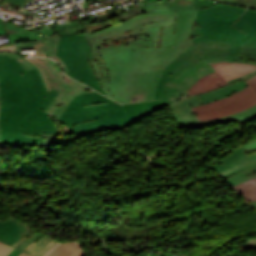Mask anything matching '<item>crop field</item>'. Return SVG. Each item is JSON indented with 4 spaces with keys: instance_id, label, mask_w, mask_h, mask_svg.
Here are the masks:
<instances>
[{
    "instance_id": "14",
    "label": "crop field",
    "mask_w": 256,
    "mask_h": 256,
    "mask_svg": "<svg viewBox=\"0 0 256 256\" xmlns=\"http://www.w3.org/2000/svg\"><path fill=\"white\" fill-rule=\"evenodd\" d=\"M248 87L247 83L242 80H238L232 84L220 87L218 89L199 94L198 96L203 100L202 103L191 105V107L203 105L205 103H210L225 97H228L244 88Z\"/></svg>"
},
{
    "instance_id": "5",
    "label": "crop field",
    "mask_w": 256,
    "mask_h": 256,
    "mask_svg": "<svg viewBox=\"0 0 256 256\" xmlns=\"http://www.w3.org/2000/svg\"><path fill=\"white\" fill-rule=\"evenodd\" d=\"M239 55L240 47L231 43L207 41L193 45L163 70L155 99L172 104L191 96L186 91L199 78L215 71L204 59Z\"/></svg>"
},
{
    "instance_id": "19",
    "label": "crop field",
    "mask_w": 256,
    "mask_h": 256,
    "mask_svg": "<svg viewBox=\"0 0 256 256\" xmlns=\"http://www.w3.org/2000/svg\"><path fill=\"white\" fill-rule=\"evenodd\" d=\"M56 242V240H53L47 236L28 253L35 256H43Z\"/></svg>"
},
{
    "instance_id": "9",
    "label": "crop field",
    "mask_w": 256,
    "mask_h": 256,
    "mask_svg": "<svg viewBox=\"0 0 256 256\" xmlns=\"http://www.w3.org/2000/svg\"><path fill=\"white\" fill-rule=\"evenodd\" d=\"M256 148V140H253L211 167L232 185H237L256 176V154L247 156L245 151Z\"/></svg>"
},
{
    "instance_id": "16",
    "label": "crop field",
    "mask_w": 256,
    "mask_h": 256,
    "mask_svg": "<svg viewBox=\"0 0 256 256\" xmlns=\"http://www.w3.org/2000/svg\"><path fill=\"white\" fill-rule=\"evenodd\" d=\"M225 84L227 83L218 75V73L214 72L198 80V82L187 92L194 95L197 93L211 90L216 87H220Z\"/></svg>"
},
{
    "instance_id": "20",
    "label": "crop field",
    "mask_w": 256,
    "mask_h": 256,
    "mask_svg": "<svg viewBox=\"0 0 256 256\" xmlns=\"http://www.w3.org/2000/svg\"><path fill=\"white\" fill-rule=\"evenodd\" d=\"M79 247L80 245L76 243H64L59 245L49 256H72Z\"/></svg>"
},
{
    "instance_id": "6",
    "label": "crop field",
    "mask_w": 256,
    "mask_h": 256,
    "mask_svg": "<svg viewBox=\"0 0 256 256\" xmlns=\"http://www.w3.org/2000/svg\"><path fill=\"white\" fill-rule=\"evenodd\" d=\"M245 10L243 7L221 3H216V7L199 9L192 40L195 44L207 40H220L241 46L250 37L230 26Z\"/></svg>"
},
{
    "instance_id": "7",
    "label": "crop field",
    "mask_w": 256,
    "mask_h": 256,
    "mask_svg": "<svg viewBox=\"0 0 256 256\" xmlns=\"http://www.w3.org/2000/svg\"><path fill=\"white\" fill-rule=\"evenodd\" d=\"M57 55L69 67L67 75L106 95L87 62L95 58L83 33L62 37Z\"/></svg>"
},
{
    "instance_id": "25",
    "label": "crop field",
    "mask_w": 256,
    "mask_h": 256,
    "mask_svg": "<svg viewBox=\"0 0 256 256\" xmlns=\"http://www.w3.org/2000/svg\"><path fill=\"white\" fill-rule=\"evenodd\" d=\"M246 82L252 87V89L255 92L256 91V76Z\"/></svg>"
},
{
    "instance_id": "4",
    "label": "crop field",
    "mask_w": 256,
    "mask_h": 256,
    "mask_svg": "<svg viewBox=\"0 0 256 256\" xmlns=\"http://www.w3.org/2000/svg\"><path fill=\"white\" fill-rule=\"evenodd\" d=\"M165 105L162 100L120 105L97 92L85 93L74 97L59 121L66 124L65 134H76L71 143L98 131L121 130Z\"/></svg>"
},
{
    "instance_id": "8",
    "label": "crop field",
    "mask_w": 256,
    "mask_h": 256,
    "mask_svg": "<svg viewBox=\"0 0 256 256\" xmlns=\"http://www.w3.org/2000/svg\"><path fill=\"white\" fill-rule=\"evenodd\" d=\"M32 59L43 67L51 83V87L57 89L59 92L58 96L46 110V112L50 114V118L56 117L59 119L76 94L94 91L69 77H66L61 68L52 60L47 58Z\"/></svg>"
},
{
    "instance_id": "10",
    "label": "crop field",
    "mask_w": 256,
    "mask_h": 256,
    "mask_svg": "<svg viewBox=\"0 0 256 256\" xmlns=\"http://www.w3.org/2000/svg\"><path fill=\"white\" fill-rule=\"evenodd\" d=\"M199 102H202V100L199 99L197 95H194L178 103L168 106L176 126H196V125L208 126L212 124L225 123L229 121H237L242 123L244 121H247L256 117V110H255L256 105H255L249 109L243 110L236 114L199 122L196 115L193 113L191 107L189 106L191 104H195Z\"/></svg>"
},
{
    "instance_id": "24",
    "label": "crop field",
    "mask_w": 256,
    "mask_h": 256,
    "mask_svg": "<svg viewBox=\"0 0 256 256\" xmlns=\"http://www.w3.org/2000/svg\"><path fill=\"white\" fill-rule=\"evenodd\" d=\"M238 4L249 5L256 8V0H240Z\"/></svg>"
},
{
    "instance_id": "26",
    "label": "crop field",
    "mask_w": 256,
    "mask_h": 256,
    "mask_svg": "<svg viewBox=\"0 0 256 256\" xmlns=\"http://www.w3.org/2000/svg\"><path fill=\"white\" fill-rule=\"evenodd\" d=\"M243 246L256 245V238H251L242 244Z\"/></svg>"
},
{
    "instance_id": "34",
    "label": "crop field",
    "mask_w": 256,
    "mask_h": 256,
    "mask_svg": "<svg viewBox=\"0 0 256 256\" xmlns=\"http://www.w3.org/2000/svg\"><path fill=\"white\" fill-rule=\"evenodd\" d=\"M252 72H253V71H252ZM252 72H250V73H252ZM250 73H249V74H250ZM249 74H247V75H249ZM247 75H242V76H240V77H238V78H236V79H234V80H237V79L242 78V77L247 76ZM234 80H232V81H234ZM228 82H230V81H228ZM228 82H227V83H228Z\"/></svg>"
},
{
    "instance_id": "1",
    "label": "crop field",
    "mask_w": 256,
    "mask_h": 256,
    "mask_svg": "<svg viewBox=\"0 0 256 256\" xmlns=\"http://www.w3.org/2000/svg\"><path fill=\"white\" fill-rule=\"evenodd\" d=\"M139 14L120 24L98 32L84 33L89 40L96 60L89 61L108 97L116 100L111 91L110 75L99 54L125 45L141 47L173 46L165 67L194 43L191 40L197 10L194 0H169L140 6ZM164 67V68H165Z\"/></svg>"
},
{
    "instance_id": "21",
    "label": "crop field",
    "mask_w": 256,
    "mask_h": 256,
    "mask_svg": "<svg viewBox=\"0 0 256 256\" xmlns=\"http://www.w3.org/2000/svg\"><path fill=\"white\" fill-rule=\"evenodd\" d=\"M241 54L256 56V34L243 43Z\"/></svg>"
},
{
    "instance_id": "30",
    "label": "crop field",
    "mask_w": 256,
    "mask_h": 256,
    "mask_svg": "<svg viewBox=\"0 0 256 256\" xmlns=\"http://www.w3.org/2000/svg\"><path fill=\"white\" fill-rule=\"evenodd\" d=\"M216 1H219V2H229V3H232V4H237L239 0H216Z\"/></svg>"
},
{
    "instance_id": "28",
    "label": "crop field",
    "mask_w": 256,
    "mask_h": 256,
    "mask_svg": "<svg viewBox=\"0 0 256 256\" xmlns=\"http://www.w3.org/2000/svg\"><path fill=\"white\" fill-rule=\"evenodd\" d=\"M8 1H10V2H12V3H14V4H17V5H19V6H22L23 3H24L26 0H8Z\"/></svg>"
},
{
    "instance_id": "2",
    "label": "crop field",
    "mask_w": 256,
    "mask_h": 256,
    "mask_svg": "<svg viewBox=\"0 0 256 256\" xmlns=\"http://www.w3.org/2000/svg\"><path fill=\"white\" fill-rule=\"evenodd\" d=\"M48 93L34 65L12 52H0V135L1 143L38 145L45 150L59 142L56 127L44 111L57 95ZM21 133L45 136L22 137Z\"/></svg>"
},
{
    "instance_id": "29",
    "label": "crop field",
    "mask_w": 256,
    "mask_h": 256,
    "mask_svg": "<svg viewBox=\"0 0 256 256\" xmlns=\"http://www.w3.org/2000/svg\"><path fill=\"white\" fill-rule=\"evenodd\" d=\"M20 253L21 251L14 249L8 256H18Z\"/></svg>"
},
{
    "instance_id": "18",
    "label": "crop field",
    "mask_w": 256,
    "mask_h": 256,
    "mask_svg": "<svg viewBox=\"0 0 256 256\" xmlns=\"http://www.w3.org/2000/svg\"><path fill=\"white\" fill-rule=\"evenodd\" d=\"M236 188L248 201H256V177L236 186Z\"/></svg>"
},
{
    "instance_id": "23",
    "label": "crop field",
    "mask_w": 256,
    "mask_h": 256,
    "mask_svg": "<svg viewBox=\"0 0 256 256\" xmlns=\"http://www.w3.org/2000/svg\"><path fill=\"white\" fill-rule=\"evenodd\" d=\"M13 248L0 243V256H6Z\"/></svg>"
},
{
    "instance_id": "15",
    "label": "crop field",
    "mask_w": 256,
    "mask_h": 256,
    "mask_svg": "<svg viewBox=\"0 0 256 256\" xmlns=\"http://www.w3.org/2000/svg\"><path fill=\"white\" fill-rule=\"evenodd\" d=\"M213 66L225 81L234 79L256 69V65L241 63H217L213 64Z\"/></svg>"
},
{
    "instance_id": "32",
    "label": "crop field",
    "mask_w": 256,
    "mask_h": 256,
    "mask_svg": "<svg viewBox=\"0 0 256 256\" xmlns=\"http://www.w3.org/2000/svg\"><path fill=\"white\" fill-rule=\"evenodd\" d=\"M255 75H256V72L253 73V74H251V75H249V76H247V77H245L244 79H245V80H248V79L252 78V77L255 76Z\"/></svg>"
},
{
    "instance_id": "31",
    "label": "crop field",
    "mask_w": 256,
    "mask_h": 256,
    "mask_svg": "<svg viewBox=\"0 0 256 256\" xmlns=\"http://www.w3.org/2000/svg\"><path fill=\"white\" fill-rule=\"evenodd\" d=\"M60 242H57L44 256H47Z\"/></svg>"
},
{
    "instance_id": "22",
    "label": "crop field",
    "mask_w": 256,
    "mask_h": 256,
    "mask_svg": "<svg viewBox=\"0 0 256 256\" xmlns=\"http://www.w3.org/2000/svg\"><path fill=\"white\" fill-rule=\"evenodd\" d=\"M215 6L213 0H195V9Z\"/></svg>"
},
{
    "instance_id": "17",
    "label": "crop field",
    "mask_w": 256,
    "mask_h": 256,
    "mask_svg": "<svg viewBox=\"0 0 256 256\" xmlns=\"http://www.w3.org/2000/svg\"><path fill=\"white\" fill-rule=\"evenodd\" d=\"M233 27L242 30V32L249 36L256 33V10L247 9L240 19L235 22Z\"/></svg>"
},
{
    "instance_id": "13",
    "label": "crop field",
    "mask_w": 256,
    "mask_h": 256,
    "mask_svg": "<svg viewBox=\"0 0 256 256\" xmlns=\"http://www.w3.org/2000/svg\"><path fill=\"white\" fill-rule=\"evenodd\" d=\"M32 228L15 217H9L5 222L0 221V241L11 245Z\"/></svg>"
},
{
    "instance_id": "27",
    "label": "crop field",
    "mask_w": 256,
    "mask_h": 256,
    "mask_svg": "<svg viewBox=\"0 0 256 256\" xmlns=\"http://www.w3.org/2000/svg\"><path fill=\"white\" fill-rule=\"evenodd\" d=\"M85 253L86 251H84L82 248H79L73 256H84Z\"/></svg>"
},
{
    "instance_id": "37",
    "label": "crop field",
    "mask_w": 256,
    "mask_h": 256,
    "mask_svg": "<svg viewBox=\"0 0 256 256\" xmlns=\"http://www.w3.org/2000/svg\"><path fill=\"white\" fill-rule=\"evenodd\" d=\"M86 1H88V0H86Z\"/></svg>"
},
{
    "instance_id": "12",
    "label": "crop field",
    "mask_w": 256,
    "mask_h": 256,
    "mask_svg": "<svg viewBox=\"0 0 256 256\" xmlns=\"http://www.w3.org/2000/svg\"><path fill=\"white\" fill-rule=\"evenodd\" d=\"M59 35L57 34L53 38H48L46 40L38 41L36 43H14L2 46L0 47V51L8 50L22 53L21 49L35 48L36 56H47L54 59L60 64L62 70L64 72H67L69 71V69L67 68L66 64L59 57L56 56L57 46L61 37Z\"/></svg>"
},
{
    "instance_id": "35",
    "label": "crop field",
    "mask_w": 256,
    "mask_h": 256,
    "mask_svg": "<svg viewBox=\"0 0 256 256\" xmlns=\"http://www.w3.org/2000/svg\"><path fill=\"white\" fill-rule=\"evenodd\" d=\"M19 256H32V255L25 254V253L22 252Z\"/></svg>"
},
{
    "instance_id": "11",
    "label": "crop field",
    "mask_w": 256,
    "mask_h": 256,
    "mask_svg": "<svg viewBox=\"0 0 256 256\" xmlns=\"http://www.w3.org/2000/svg\"><path fill=\"white\" fill-rule=\"evenodd\" d=\"M255 104L256 95L249 87L228 98L203 106L194 107L193 110L198 116L199 120L202 121L235 113L242 109L249 108Z\"/></svg>"
},
{
    "instance_id": "3",
    "label": "crop field",
    "mask_w": 256,
    "mask_h": 256,
    "mask_svg": "<svg viewBox=\"0 0 256 256\" xmlns=\"http://www.w3.org/2000/svg\"><path fill=\"white\" fill-rule=\"evenodd\" d=\"M171 48H140L138 45L101 53L110 70L112 90L120 103L133 102V98L154 100Z\"/></svg>"
},
{
    "instance_id": "33",
    "label": "crop field",
    "mask_w": 256,
    "mask_h": 256,
    "mask_svg": "<svg viewBox=\"0 0 256 256\" xmlns=\"http://www.w3.org/2000/svg\"><path fill=\"white\" fill-rule=\"evenodd\" d=\"M250 204L256 210V202H250Z\"/></svg>"
},
{
    "instance_id": "36",
    "label": "crop field",
    "mask_w": 256,
    "mask_h": 256,
    "mask_svg": "<svg viewBox=\"0 0 256 256\" xmlns=\"http://www.w3.org/2000/svg\"><path fill=\"white\" fill-rule=\"evenodd\" d=\"M244 248H256V246L244 247Z\"/></svg>"
}]
</instances>
